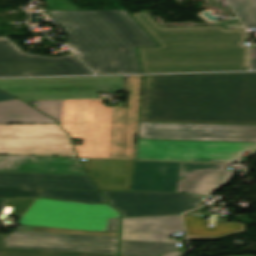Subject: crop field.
<instances>
[{
    "label": "crop field",
    "mask_w": 256,
    "mask_h": 256,
    "mask_svg": "<svg viewBox=\"0 0 256 256\" xmlns=\"http://www.w3.org/2000/svg\"><path fill=\"white\" fill-rule=\"evenodd\" d=\"M141 120L256 124V72L145 76Z\"/></svg>",
    "instance_id": "8a807250"
},
{
    "label": "crop field",
    "mask_w": 256,
    "mask_h": 256,
    "mask_svg": "<svg viewBox=\"0 0 256 256\" xmlns=\"http://www.w3.org/2000/svg\"><path fill=\"white\" fill-rule=\"evenodd\" d=\"M133 16L162 45L139 48L145 73L245 70L244 29L161 28L147 12Z\"/></svg>",
    "instance_id": "ac0d7876"
},
{
    "label": "crop field",
    "mask_w": 256,
    "mask_h": 256,
    "mask_svg": "<svg viewBox=\"0 0 256 256\" xmlns=\"http://www.w3.org/2000/svg\"><path fill=\"white\" fill-rule=\"evenodd\" d=\"M48 13L68 35L65 43L96 74L141 73L135 47L158 46L125 10Z\"/></svg>",
    "instance_id": "34b2d1b8"
},
{
    "label": "crop field",
    "mask_w": 256,
    "mask_h": 256,
    "mask_svg": "<svg viewBox=\"0 0 256 256\" xmlns=\"http://www.w3.org/2000/svg\"><path fill=\"white\" fill-rule=\"evenodd\" d=\"M142 76H129L128 108H109L102 100H65L61 126L80 157L133 159Z\"/></svg>",
    "instance_id": "412701ff"
},
{
    "label": "crop field",
    "mask_w": 256,
    "mask_h": 256,
    "mask_svg": "<svg viewBox=\"0 0 256 256\" xmlns=\"http://www.w3.org/2000/svg\"><path fill=\"white\" fill-rule=\"evenodd\" d=\"M235 172L225 164L136 161L132 191L185 192L211 196Z\"/></svg>",
    "instance_id": "f4fd0767"
},
{
    "label": "crop field",
    "mask_w": 256,
    "mask_h": 256,
    "mask_svg": "<svg viewBox=\"0 0 256 256\" xmlns=\"http://www.w3.org/2000/svg\"><path fill=\"white\" fill-rule=\"evenodd\" d=\"M114 217H119V212L108 204L91 205L38 198L17 223L105 231L108 218Z\"/></svg>",
    "instance_id": "dd49c442"
},
{
    "label": "crop field",
    "mask_w": 256,
    "mask_h": 256,
    "mask_svg": "<svg viewBox=\"0 0 256 256\" xmlns=\"http://www.w3.org/2000/svg\"><path fill=\"white\" fill-rule=\"evenodd\" d=\"M124 76L0 80V89L22 99L99 98L100 91H122Z\"/></svg>",
    "instance_id": "e52e79f7"
},
{
    "label": "crop field",
    "mask_w": 256,
    "mask_h": 256,
    "mask_svg": "<svg viewBox=\"0 0 256 256\" xmlns=\"http://www.w3.org/2000/svg\"><path fill=\"white\" fill-rule=\"evenodd\" d=\"M255 143L138 139L136 159L240 162Z\"/></svg>",
    "instance_id": "d8731c3e"
},
{
    "label": "crop field",
    "mask_w": 256,
    "mask_h": 256,
    "mask_svg": "<svg viewBox=\"0 0 256 256\" xmlns=\"http://www.w3.org/2000/svg\"><path fill=\"white\" fill-rule=\"evenodd\" d=\"M183 231L180 215L122 218L120 254L159 256L179 249L182 241L168 240Z\"/></svg>",
    "instance_id": "5a996713"
},
{
    "label": "crop field",
    "mask_w": 256,
    "mask_h": 256,
    "mask_svg": "<svg viewBox=\"0 0 256 256\" xmlns=\"http://www.w3.org/2000/svg\"><path fill=\"white\" fill-rule=\"evenodd\" d=\"M0 154L76 157L58 124L0 125Z\"/></svg>",
    "instance_id": "3316defc"
},
{
    "label": "crop field",
    "mask_w": 256,
    "mask_h": 256,
    "mask_svg": "<svg viewBox=\"0 0 256 256\" xmlns=\"http://www.w3.org/2000/svg\"><path fill=\"white\" fill-rule=\"evenodd\" d=\"M92 74L73 55L47 57L25 53L9 38H0V77Z\"/></svg>",
    "instance_id": "28ad6ade"
},
{
    "label": "crop field",
    "mask_w": 256,
    "mask_h": 256,
    "mask_svg": "<svg viewBox=\"0 0 256 256\" xmlns=\"http://www.w3.org/2000/svg\"><path fill=\"white\" fill-rule=\"evenodd\" d=\"M6 248L117 254L118 237L14 231Z\"/></svg>",
    "instance_id": "d1516ede"
},
{
    "label": "crop field",
    "mask_w": 256,
    "mask_h": 256,
    "mask_svg": "<svg viewBox=\"0 0 256 256\" xmlns=\"http://www.w3.org/2000/svg\"><path fill=\"white\" fill-rule=\"evenodd\" d=\"M138 138L256 143V125L140 122Z\"/></svg>",
    "instance_id": "22f410ed"
},
{
    "label": "crop field",
    "mask_w": 256,
    "mask_h": 256,
    "mask_svg": "<svg viewBox=\"0 0 256 256\" xmlns=\"http://www.w3.org/2000/svg\"><path fill=\"white\" fill-rule=\"evenodd\" d=\"M122 217L171 215L199 207L204 196L162 192H103Z\"/></svg>",
    "instance_id": "cbeb9de0"
},
{
    "label": "crop field",
    "mask_w": 256,
    "mask_h": 256,
    "mask_svg": "<svg viewBox=\"0 0 256 256\" xmlns=\"http://www.w3.org/2000/svg\"><path fill=\"white\" fill-rule=\"evenodd\" d=\"M0 171L86 175L77 158L0 155Z\"/></svg>",
    "instance_id": "5142ce71"
},
{
    "label": "crop field",
    "mask_w": 256,
    "mask_h": 256,
    "mask_svg": "<svg viewBox=\"0 0 256 256\" xmlns=\"http://www.w3.org/2000/svg\"><path fill=\"white\" fill-rule=\"evenodd\" d=\"M0 186L97 190L88 176L0 172Z\"/></svg>",
    "instance_id": "d9b57169"
},
{
    "label": "crop field",
    "mask_w": 256,
    "mask_h": 256,
    "mask_svg": "<svg viewBox=\"0 0 256 256\" xmlns=\"http://www.w3.org/2000/svg\"><path fill=\"white\" fill-rule=\"evenodd\" d=\"M83 164L100 190L130 191L133 161L87 159Z\"/></svg>",
    "instance_id": "733c2abd"
},
{
    "label": "crop field",
    "mask_w": 256,
    "mask_h": 256,
    "mask_svg": "<svg viewBox=\"0 0 256 256\" xmlns=\"http://www.w3.org/2000/svg\"><path fill=\"white\" fill-rule=\"evenodd\" d=\"M189 239L216 240L221 237L243 232L246 226L240 223H227V220L219 219L215 228L206 226L203 218L184 217Z\"/></svg>",
    "instance_id": "4a817a6b"
},
{
    "label": "crop field",
    "mask_w": 256,
    "mask_h": 256,
    "mask_svg": "<svg viewBox=\"0 0 256 256\" xmlns=\"http://www.w3.org/2000/svg\"><path fill=\"white\" fill-rule=\"evenodd\" d=\"M0 123H56L19 99L0 102Z\"/></svg>",
    "instance_id": "bc2a9ffb"
},
{
    "label": "crop field",
    "mask_w": 256,
    "mask_h": 256,
    "mask_svg": "<svg viewBox=\"0 0 256 256\" xmlns=\"http://www.w3.org/2000/svg\"><path fill=\"white\" fill-rule=\"evenodd\" d=\"M41 197L85 201L92 203H107L106 199L99 191H81V190H51L44 189Z\"/></svg>",
    "instance_id": "214f88e0"
},
{
    "label": "crop field",
    "mask_w": 256,
    "mask_h": 256,
    "mask_svg": "<svg viewBox=\"0 0 256 256\" xmlns=\"http://www.w3.org/2000/svg\"><path fill=\"white\" fill-rule=\"evenodd\" d=\"M246 28L256 26V0H229ZM251 68L256 70V48L251 49Z\"/></svg>",
    "instance_id": "92a150f3"
},
{
    "label": "crop field",
    "mask_w": 256,
    "mask_h": 256,
    "mask_svg": "<svg viewBox=\"0 0 256 256\" xmlns=\"http://www.w3.org/2000/svg\"><path fill=\"white\" fill-rule=\"evenodd\" d=\"M9 234H0V256H117L104 254L68 253L54 251L6 249L2 239Z\"/></svg>",
    "instance_id": "dafd665d"
},
{
    "label": "crop field",
    "mask_w": 256,
    "mask_h": 256,
    "mask_svg": "<svg viewBox=\"0 0 256 256\" xmlns=\"http://www.w3.org/2000/svg\"><path fill=\"white\" fill-rule=\"evenodd\" d=\"M34 200H6L1 213L21 217Z\"/></svg>",
    "instance_id": "00972430"
},
{
    "label": "crop field",
    "mask_w": 256,
    "mask_h": 256,
    "mask_svg": "<svg viewBox=\"0 0 256 256\" xmlns=\"http://www.w3.org/2000/svg\"><path fill=\"white\" fill-rule=\"evenodd\" d=\"M43 189L0 187V198L39 196Z\"/></svg>",
    "instance_id": "a9b5d70f"
},
{
    "label": "crop field",
    "mask_w": 256,
    "mask_h": 256,
    "mask_svg": "<svg viewBox=\"0 0 256 256\" xmlns=\"http://www.w3.org/2000/svg\"><path fill=\"white\" fill-rule=\"evenodd\" d=\"M62 104L63 101H38L36 108L60 122Z\"/></svg>",
    "instance_id": "4177f3b9"
},
{
    "label": "crop field",
    "mask_w": 256,
    "mask_h": 256,
    "mask_svg": "<svg viewBox=\"0 0 256 256\" xmlns=\"http://www.w3.org/2000/svg\"><path fill=\"white\" fill-rule=\"evenodd\" d=\"M32 231H47V232H63V233H78V234L118 236V232L75 231V230H66V229L40 227V226H34Z\"/></svg>",
    "instance_id": "730fd06b"
},
{
    "label": "crop field",
    "mask_w": 256,
    "mask_h": 256,
    "mask_svg": "<svg viewBox=\"0 0 256 256\" xmlns=\"http://www.w3.org/2000/svg\"><path fill=\"white\" fill-rule=\"evenodd\" d=\"M53 10H81L67 0H45Z\"/></svg>",
    "instance_id": "eef30255"
},
{
    "label": "crop field",
    "mask_w": 256,
    "mask_h": 256,
    "mask_svg": "<svg viewBox=\"0 0 256 256\" xmlns=\"http://www.w3.org/2000/svg\"><path fill=\"white\" fill-rule=\"evenodd\" d=\"M119 218L109 219L106 231H118Z\"/></svg>",
    "instance_id": "ae1a2a85"
},
{
    "label": "crop field",
    "mask_w": 256,
    "mask_h": 256,
    "mask_svg": "<svg viewBox=\"0 0 256 256\" xmlns=\"http://www.w3.org/2000/svg\"><path fill=\"white\" fill-rule=\"evenodd\" d=\"M182 253L183 252H180V251H173V252L162 254L160 256H180L182 255ZM119 256H129V255H119Z\"/></svg>",
    "instance_id": "d3111659"
},
{
    "label": "crop field",
    "mask_w": 256,
    "mask_h": 256,
    "mask_svg": "<svg viewBox=\"0 0 256 256\" xmlns=\"http://www.w3.org/2000/svg\"><path fill=\"white\" fill-rule=\"evenodd\" d=\"M7 99H15V97L3 92L0 90V101L1 100H7Z\"/></svg>",
    "instance_id": "750c4746"
},
{
    "label": "crop field",
    "mask_w": 256,
    "mask_h": 256,
    "mask_svg": "<svg viewBox=\"0 0 256 256\" xmlns=\"http://www.w3.org/2000/svg\"><path fill=\"white\" fill-rule=\"evenodd\" d=\"M4 201L5 200L0 201V211H1L2 207H3Z\"/></svg>",
    "instance_id": "bd1437ed"
}]
</instances>
